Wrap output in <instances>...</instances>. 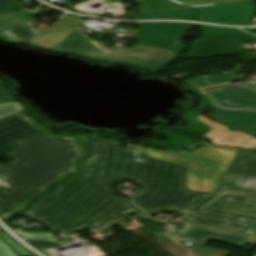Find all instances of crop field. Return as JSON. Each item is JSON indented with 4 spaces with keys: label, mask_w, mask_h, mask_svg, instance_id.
<instances>
[{
    "label": "crop field",
    "mask_w": 256,
    "mask_h": 256,
    "mask_svg": "<svg viewBox=\"0 0 256 256\" xmlns=\"http://www.w3.org/2000/svg\"><path fill=\"white\" fill-rule=\"evenodd\" d=\"M78 138L87 154L80 173L23 213L54 233L72 235L137 209L128 199L115 197L111 186L121 180L141 186L145 194L138 193L133 202L142 209L204 194L197 191L206 166L185 154L117 148L114 140Z\"/></svg>",
    "instance_id": "crop-field-1"
},
{
    "label": "crop field",
    "mask_w": 256,
    "mask_h": 256,
    "mask_svg": "<svg viewBox=\"0 0 256 256\" xmlns=\"http://www.w3.org/2000/svg\"><path fill=\"white\" fill-rule=\"evenodd\" d=\"M82 148L75 137L47 135L26 140L12 154L13 160L0 166V176L8 191L0 197V216L5 221L43 194L52 184L76 172ZM24 164H28L24 166Z\"/></svg>",
    "instance_id": "crop-field-2"
},
{
    "label": "crop field",
    "mask_w": 256,
    "mask_h": 256,
    "mask_svg": "<svg viewBox=\"0 0 256 256\" xmlns=\"http://www.w3.org/2000/svg\"><path fill=\"white\" fill-rule=\"evenodd\" d=\"M237 74H211L184 80L199 91L211 107L226 111H253V114H212L209 118L225 124L230 130H240L256 137V87L251 83H235L203 89L206 87L245 79Z\"/></svg>",
    "instance_id": "crop-field-3"
},
{
    "label": "crop field",
    "mask_w": 256,
    "mask_h": 256,
    "mask_svg": "<svg viewBox=\"0 0 256 256\" xmlns=\"http://www.w3.org/2000/svg\"><path fill=\"white\" fill-rule=\"evenodd\" d=\"M207 207L181 220L255 235L256 198L224 195Z\"/></svg>",
    "instance_id": "crop-field-4"
},
{
    "label": "crop field",
    "mask_w": 256,
    "mask_h": 256,
    "mask_svg": "<svg viewBox=\"0 0 256 256\" xmlns=\"http://www.w3.org/2000/svg\"><path fill=\"white\" fill-rule=\"evenodd\" d=\"M180 52L137 44L133 49H106L105 44L99 43L87 57L105 61L135 64L147 68L152 73L160 71L172 58Z\"/></svg>",
    "instance_id": "crop-field-5"
},
{
    "label": "crop field",
    "mask_w": 256,
    "mask_h": 256,
    "mask_svg": "<svg viewBox=\"0 0 256 256\" xmlns=\"http://www.w3.org/2000/svg\"><path fill=\"white\" fill-rule=\"evenodd\" d=\"M217 192L256 196V154L240 150Z\"/></svg>",
    "instance_id": "crop-field-6"
},
{
    "label": "crop field",
    "mask_w": 256,
    "mask_h": 256,
    "mask_svg": "<svg viewBox=\"0 0 256 256\" xmlns=\"http://www.w3.org/2000/svg\"><path fill=\"white\" fill-rule=\"evenodd\" d=\"M140 31L136 37L137 43L175 50L185 51L182 37L186 29L197 26L193 24L156 22L136 24Z\"/></svg>",
    "instance_id": "crop-field-7"
},
{
    "label": "crop field",
    "mask_w": 256,
    "mask_h": 256,
    "mask_svg": "<svg viewBox=\"0 0 256 256\" xmlns=\"http://www.w3.org/2000/svg\"><path fill=\"white\" fill-rule=\"evenodd\" d=\"M249 40H256V37L202 34L200 40L191 51L187 53L186 58L240 54L243 61L256 60V56L249 53V50L239 47L241 42H248ZM241 53H246L247 55H242Z\"/></svg>",
    "instance_id": "crop-field-8"
},
{
    "label": "crop field",
    "mask_w": 256,
    "mask_h": 256,
    "mask_svg": "<svg viewBox=\"0 0 256 256\" xmlns=\"http://www.w3.org/2000/svg\"><path fill=\"white\" fill-rule=\"evenodd\" d=\"M49 133L24 111L0 120V156L13 150L26 138Z\"/></svg>",
    "instance_id": "crop-field-9"
},
{
    "label": "crop field",
    "mask_w": 256,
    "mask_h": 256,
    "mask_svg": "<svg viewBox=\"0 0 256 256\" xmlns=\"http://www.w3.org/2000/svg\"><path fill=\"white\" fill-rule=\"evenodd\" d=\"M200 21L225 25H251L255 12V2L198 7Z\"/></svg>",
    "instance_id": "crop-field-10"
},
{
    "label": "crop field",
    "mask_w": 256,
    "mask_h": 256,
    "mask_svg": "<svg viewBox=\"0 0 256 256\" xmlns=\"http://www.w3.org/2000/svg\"><path fill=\"white\" fill-rule=\"evenodd\" d=\"M190 154L209 165L200 190L212 191L219 175L227 162L231 160L234 152L215 148H203Z\"/></svg>",
    "instance_id": "crop-field-11"
},
{
    "label": "crop field",
    "mask_w": 256,
    "mask_h": 256,
    "mask_svg": "<svg viewBox=\"0 0 256 256\" xmlns=\"http://www.w3.org/2000/svg\"><path fill=\"white\" fill-rule=\"evenodd\" d=\"M196 114L200 116L198 118L200 121L213 129L206 136L213 139L211 141L212 143L256 149V139L251 138L241 132H228L224 126L205 118L199 112Z\"/></svg>",
    "instance_id": "crop-field-12"
},
{
    "label": "crop field",
    "mask_w": 256,
    "mask_h": 256,
    "mask_svg": "<svg viewBox=\"0 0 256 256\" xmlns=\"http://www.w3.org/2000/svg\"><path fill=\"white\" fill-rule=\"evenodd\" d=\"M218 196L219 195L217 194L206 193L203 196L193 201L145 209L144 211L147 212L149 215L168 212V213H175L177 216L182 217L186 214L194 212V209L202 208L203 206L207 205L209 202H211L213 199H215ZM170 206H172L173 208H169ZM175 207L177 208L176 210H174Z\"/></svg>",
    "instance_id": "crop-field-13"
},
{
    "label": "crop field",
    "mask_w": 256,
    "mask_h": 256,
    "mask_svg": "<svg viewBox=\"0 0 256 256\" xmlns=\"http://www.w3.org/2000/svg\"><path fill=\"white\" fill-rule=\"evenodd\" d=\"M83 28H79L67 40H65L55 51L76 53L85 56L98 43L86 41V35L82 34Z\"/></svg>",
    "instance_id": "crop-field-14"
},
{
    "label": "crop field",
    "mask_w": 256,
    "mask_h": 256,
    "mask_svg": "<svg viewBox=\"0 0 256 256\" xmlns=\"http://www.w3.org/2000/svg\"><path fill=\"white\" fill-rule=\"evenodd\" d=\"M196 14L197 12L194 9H184V10L141 13V14L124 16L122 17V19L134 18V20H148V19L195 20Z\"/></svg>",
    "instance_id": "crop-field-15"
},
{
    "label": "crop field",
    "mask_w": 256,
    "mask_h": 256,
    "mask_svg": "<svg viewBox=\"0 0 256 256\" xmlns=\"http://www.w3.org/2000/svg\"><path fill=\"white\" fill-rule=\"evenodd\" d=\"M182 233L171 236L175 241H187L206 245L215 229L185 225Z\"/></svg>",
    "instance_id": "crop-field-16"
},
{
    "label": "crop field",
    "mask_w": 256,
    "mask_h": 256,
    "mask_svg": "<svg viewBox=\"0 0 256 256\" xmlns=\"http://www.w3.org/2000/svg\"><path fill=\"white\" fill-rule=\"evenodd\" d=\"M211 240H215L218 242H222L225 244L237 246L243 248L246 244L253 245L252 250H255L256 248V237L240 234V233H234L224 230L216 229L213 236L211 237Z\"/></svg>",
    "instance_id": "crop-field-17"
},
{
    "label": "crop field",
    "mask_w": 256,
    "mask_h": 256,
    "mask_svg": "<svg viewBox=\"0 0 256 256\" xmlns=\"http://www.w3.org/2000/svg\"><path fill=\"white\" fill-rule=\"evenodd\" d=\"M39 33L41 32L34 30L32 24L27 21L15 27L0 31V36H7L8 38L6 40L24 43Z\"/></svg>",
    "instance_id": "crop-field-18"
},
{
    "label": "crop field",
    "mask_w": 256,
    "mask_h": 256,
    "mask_svg": "<svg viewBox=\"0 0 256 256\" xmlns=\"http://www.w3.org/2000/svg\"><path fill=\"white\" fill-rule=\"evenodd\" d=\"M37 12L23 10L0 19V30L12 27L27 20L34 19Z\"/></svg>",
    "instance_id": "crop-field-19"
},
{
    "label": "crop field",
    "mask_w": 256,
    "mask_h": 256,
    "mask_svg": "<svg viewBox=\"0 0 256 256\" xmlns=\"http://www.w3.org/2000/svg\"><path fill=\"white\" fill-rule=\"evenodd\" d=\"M172 8H182V6L172 4L166 0H139L138 1V12L172 9Z\"/></svg>",
    "instance_id": "crop-field-20"
},
{
    "label": "crop field",
    "mask_w": 256,
    "mask_h": 256,
    "mask_svg": "<svg viewBox=\"0 0 256 256\" xmlns=\"http://www.w3.org/2000/svg\"><path fill=\"white\" fill-rule=\"evenodd\" d=\"M170 1L180 5L188 6V7H198V6L249 2V1H255V0H170Z\"/></svg>",
    "instance_id": "crop-field-21"
},
{
    "label": "crop field",
    "mask_w": 256,
    "mask_h": 256,
    "mask_svg": "<svg viewBox=\"0 0 256 256\" xmlns=\"http://www.w3.org/2000/svg\"><path fill=\"white\" fill-rule=\"evenodd\" d=\"M13 1L15 0H0V18L25 9Z\"/></svg>",
    "instance_id": "crop-field-22"
},
{
    "label": "crop field",
    "mask_w": 256,
    "mask_h": 256,
    "mask_svg": "<svg viewBox=\"0 0 256 256\" xmlns=\"http://www.w3.org/2000/svg\"><path fill=\"white\" fill-rule=\"evenodd\" d=\"M200 30L202 33H224V34H238V35H248L234 28H221L207 25H200Z\"/></svg>",
    "instance_id": "crop-field-23"
},
{
    "label": "crop field",
    "mask_w": 256,
    "mask_h": 256,
    "mask_svg": "<svg viewBox=\"0 0 256 256\" xmlns=\"http://www.w3.org/2000/svg\"><path fill=\"white\" fill-rule=\"evenodd\" d=\"M22 110L23 108L17 102L2 103L0 104V119Z\"/></svg>",
    "instance_id": "crop-field-24"
},
{
    "label": "crop field",
    "mask_w": 256,
    "mask_h": 256,
    "mask_svg": "<svg viewBox=\"0 0 256 256\" xmlns=\"http://www.w3.org/2000/svg\"><path fill=\"white\" fill-rule=\"evenodd\" d=\"M1 237L5 240V242L12 246L13 249L15 250V252L19 255V256H34L32 254H30L29 252H27L25 249H23L21 246H19L18 244L14 243L7 235H5L3 232L1 234Z\"/></svg>",
    "instance_id": "crop-field-25"
},
{
    "label": "crop field",
    "mask_w": 256,
    "mask_h": 256,
    "mask_svg": "<svg viewBox=\"0 0 256 256\" xmlns=\"http://www.w3.org/2000/svg\"><path fill=\"white\" fill-rule=\"evenodd\" d=\"M22 237L27 238H56L52 233H23L21 229H14ZM18 234V235H19Z\"/></svg>",
    "instance_id": "crop-field-26"
},
{
    "label": "crop field",
    "mask_w": 256,
    "mask_h": 256,
    "mask_svg": "<svg viewBox=\"0 0 256 256\" xmlns=\"http://www.w3.org/2000/svg\"><path fill=\"white\" fill-rule=\"evenodd\" d=\"M0 256H17L11 247L6 245L1 239H0Z\"/></svg>",
    "instance_id": "crop-field-27"
},
{
    "label": "crop field",
    "mask_w": 256,
    "mask_h": 256,
    "mask_svg": "<svg viewBox=\"0 0 256 256\" xmlns=\"http://www.w3.org/2000/svg\"><path fill=\"white\" fill-rule=\"evenodd\" d=\"M132 213H134V214L137 215V216H146V214H145L144 212H142L140 209H137V210L132 211V212H130V213H128V214H125V215H123V216H120V217H118V218H115V219H113V220H110V221H108V222H106V223H103V224H101V225H99V226H102V225H104V224H107V223H110V222H112V221L118 220V219H120V218L126 217V216H128V215H130V214H132ZM99 226H96V227L91 228V229H95V228H97V227H99Z\"/></svg>",
    "instance_id": "crop-field-28"
},
{
    "label": "crop field",
    "mask_w": 256,
    "mask_h": 256,
    "mask_svg": "<svg viewBox=\"0 0 256 256\" xmlns=\"http://www.w3.org/2000/svg\"><path fill=\"white\" fill-rule=\"evenodd\" d=\"M15 101L13 98H11L6 91L3 89L2 86H0V103L2 102H12Z\"/></svg>",
    "instance_id": "crop-field-29"
},
{
    "label": "crop field",
    "mask_w": 256,
    "mask_h": 256,
    "mask_svg": "<svg viewBox=\"0 0 256 256\" xmlns=\"http://www.w3.org/2000/svg\"><path fill=\"white\" fill-rule=\"evenodd\" d=\"M28 242H30L35 247H62L58 244L48 242V241H28ZM41 243H50V245H41Z\"/></svg>",
    "instance_id": "crop-field-30"
},
{
    "label": "crop field",
    "mask_w": 256,
    "mask_h": 256,
    "mask_svg": "<svg viewBox=\"0 0 256 256\" xmlns=\"http://www.w3.org/2000/svg\"><path fill=\"white\" fill-rule=\"evenodd\" d=\"M114 1H116V2H119V1L125 2V1H127V0H114Z\"/></svg>",
    "instance_id": "crop-field-31"
}]
</instances>
